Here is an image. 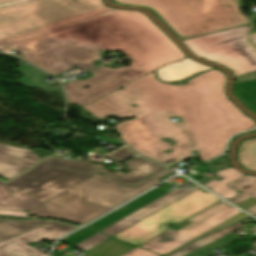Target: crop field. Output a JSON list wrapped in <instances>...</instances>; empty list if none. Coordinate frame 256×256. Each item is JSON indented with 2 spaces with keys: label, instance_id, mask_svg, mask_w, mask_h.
I'll return each mask as SVG.
<instances>
[{
  "label": "crop field",
  "instance_id": "obj_1",
  "mask_svg": "<svg viewBox=\"0 0 256 256\" xmlns=\"http://www.w3.org/2000/svg\"><path fill=\"white\" fill-rule=\"evenodd\" d=\"M224 73L214 69L183 85L162 84L154 72L84 107L99 120L107 116L135 119L115 125L121 138L137 153L158 162L189 157V145L182 123L169 116H181L191 151L198 150L202 161L218 155L231 134L255 126L226 98ZM136 104L137 107H130ZM176 142L171 147L159 139ZM171 149L165 154L162 151Z\"/></svg>",
  "mask_w": 256,
  "mask_h": 256
},
{
  "label": "crop field",
  "instance_id": "obj_2",
  "mask_svg": "<svg viewBox=\"0 0 256 256\" xmlns=\"http://www.w3.org/2000/svg\"><path fill=\"white\" fill-rule=\"evenodd\" d=\"M9 46L55 77L73 66L94 67L98 50H120L127 55L131 66L92 69V77L64 85L68 103L79 107L163 65L187 58L144 13L132 10L110 12ZM87 84L90 88L83 89Z\"/></svg>",
  "mask_w": 256,
  "mask_h": 256
},
{
  "label": "crop field",
  "instance_id": "obj_3",
  "mask_svg": "<svg viewBox=\"0 0 256 256\" xmlns=\"http://www.w3.org/2000/svg\"><path fill=\"white\" fill-rule=\"evenodd\" d=\"M112 2L149 9L179 40L250 23V17L241 13L242 0H112Z\"/></svg>",
  "mask_w": 256,
  "mask_h": 256
},
{
  "label": "crop field",
  "instance_id": "obj_4",
  "mask_svg": "<svg viewBox=\"0 0 256 256\" xmlns=\"http://www.w3.org/2000/svg\"><path fill=\"white\" fill-rule=\"evenodd\" d=\"M158 182L160 180L152 175L129 187L98 174L29 211L28 214L83 224Z\"/></svg>",
  "mask_w": 256,
  "mask_h": 256
},
{
  "label": "crop field",
  "instance_id": "obj_5",
  "mask_svg": "<svg viewBox=\"0 0 256 256\" xmlns=\"http://www.w3.org/2000/svg\"><path fill=\"white\" fill-rule=\"evenodd\" d=\"M95 174L40 162L8 183L0 181V209L29 211Z\"/></svg>",
  "mask_w": 256,
  "mask_h": 256
},
{
  "label": "crop field",
  "instance_id": "obj_6",
  "mask_svg": "<svg viewBox=\"0 0 256 256\" xmlns=\"http://www.w3.org/2000/svg\"><path fill=\"white\" fill-rule=\"evenodd\" d=\"M103 6L102 0H0V38Z\"/></svg>",
  "mask_w": 256,
  "mask_h": 256
},
{
  "label": "crop field",
  "instance_id": "obj_7",
  "mask_svg": "<svg viewBox=\"0 0 256 256\" xmlns=\"http://www.w3.org/2000/svg\"><path fill=\"white\" fill-rule=\"evenodd\" d=\"M249 27L183 40L197 57L230 69L234 77L256 70V50L246 40Z\"/></svg>",
  "mask_w": 256,
  "mask_h": 256
},
{
  "label": "crop field",
  "instance_id": "obj_8",
  "mask_svg": "<svg viewBox=\"0 0 256 256\" xmlns=\"http://www.w3.org/2000/svg\"><path fill=\"white\" fill-rule=\"evenodd\" d=\"M202 190L193 191L113 237L138 246L167 230V224L178 223L220 200Z\"/></svg>",
  "mask_w": 256,
  "mask_h": 256
},
{
  "label": "crop field",
  "instance_id": "obj_9",
  "mask_svg": "<svg viewBox=\"0 0 256 256\" xmlns=\"http://www.w3.org/2000/svg\"><path fill=\"white\" fill-rule=\"evenodd\" d=\"M239 212L241 211L221 201L179 224L178 226L183 229L179 231L169 230L140 247L164 255L212 227L228 220Z\"/></svg>",
  "mask_w": 256,
  "mask_h": 256
},
{
  "label": "crop field",
  "instance_id": "obj_10",
  "mask_svg": "<svg viewBox=\"0 0 256 256\" xmlns=\"http://www.w3.org/2000/svg\"><path fill=\"white\" fill-rule=\"evenodd\" d=\"M78 226L55 221L30 232L0 243V256H47L27 243L49 240L54 241Z\"/></svg>",
  "mask_w": 256,
  "mask_h": 256
},
{
  "label": "crop field",
  "instance_id": "obj_11",
  "mask_svg": "<svg viewBox=\"0 0 256 256\" xmlns=\"http://www.w3.org/2000/svg\"><path fill=\"white\" fill-rule=\"evenodd\" d=\"M197 188L176 189L101 230V232L113 236Z\"/></svg>",
  "mask_w": 256,
  "mask_h": 256
},
{
  "label": "crop field",
  "instance_id": "obj_12",
  "mask_svg": "<svg viewBox=\"0 0 256 256\" xmlns=\"http://www.w3.org/2000/svg\"><path fill=\"white\" fill-rule=\"evenodd\" d=\"M39 160L29 149L0 144V176L7 180L29 169Z\"/></svg>",
  "mask_w": 256,
  "mask_h": 256
},
{
  "label": "crop field",
  "instance_id": "obj_13",
  "mask_svg": "<svg viewBox=\"0 0 256 256\" xmlns=\"http://www.w3.org/2000/svg\"><path fill=\"white\" fill-rule=\"evenodd\" d=\"M114 10H117V9H113L109 6L99 8V9H96V10H93V11H90L87 13H83V14H80V15H77V16H74L71 18H67V19H64V20H61V21H58L55 23H51V24H48V25H45V26H42L39 28H35V29L29 30V31H26L23 33H19V34H16V35H13V36H10L7 38L0 39V45H9V44H12L15 42H19V41H22V40H25V39H28V38H31L34 36H38V35H41V34H44V33L59 29V28H63V27L90 19L92 17L98 16V15H101V14H104V13H107L110 11H114Z\"/></svg>",
  "mask_w": 256,
  "mask_h": 256
},
{
  "label": "crop field",
  "instance_id": "obj_14",
  "mask_svg": "<svg viewBox=\"0 0 256 256\" xmlns=\"http://www.w3.org/2000/svg\"><path fill=\"white\" fill-rule=\"evenodd\" d=\"M124 165L128 166L129 172L127 174H123L122 172L118 171L112 173L110 171L104 170L100 167H96L93 169L94 171L100 172L106 176L114 178L118 181L131 185L161 169L164 167L159 166L149 160L142 159L140 157H135L125 163Z\"/></svg>",
  "mask_w": 256,
  "mask_h": 256
},
{
  "label": "crop field",
  "instance_id": "obj_15",
  "mask_svg": "<svg viewBox=\"0 0 256 256\" xmlns=\"http://www.w3.org/2000/svg\"><path fill=\"white\" fill-rule=\"evenodd\" d=\"M166 193L168 192L156 188L88 226L100 231Z\"/></svg>",
  "mask_w": 256,
  "mask_h": 256
},
{
  "label": "crop field",
  "instance_id": "obj_16",
  "mask_svg": "<svg viewBox=\"0 0 256 256\" xmlns=\"http://www.w3.org/2000/svg\"><path fill=\"white\" fill-rule=\"evenodd\" d=\"M207 69H210V67L187 58L163 66L156 70V72L159 79L163 82H174L185 79L196 72Z\"/></svg>",
  "mask_w": 256,
  "mask_h": 256
},
{
  "label": "crop field",
  "instance_id": "obj_17",
  "mask_svg": "<svg viewBox=\"0 0 256 256\" xmlns=\"http://www.w3.org/2000/svg\"><path fill=\"white\" fill-rule=\"evenodd\" d=\"M228 186L241 192L240 194L227 200L233 204H236L250 196L256 199V176L244 175L230 183ZM245 210L252 215H256V204Z\"/></svg>",
  "mask_w": 256,
  "mask_h": 256
},
{
  "label": "crop field",
  "instance_id": "obj_18",
  "mask_svg": "<svg viewBox=\"0 0 256 256\" xmlns=\"http://www.w3.org/2000/svg\"><path fill=\"white\" fill-rule=\"evenodd\" d=\"M51 221H39V220H3L0 219V241L11 238L43 224Z\"/></svg>",
  "mask_w": 256,
  "mask_h": 256
},
{
  "label": "crop field",
  "instance_id": "obj_19",
  "mask_svg": "<svg viewBox=\"0 0 256 256\" xmlns=\"http://www.w3.org/2000/svg\"><path fill=\"white\" fill-rule=\"evenodd\" d=\"M216 174L225 179L220 182L214 180L205 184L204 186L209 187L214 193L218 194L226 200L236 195L235 191L226 185L244 174L233 167L217 172Z\"/></svg>",
  "mask_w": 256,
  "mask_h": 256
},
{
  "label": "crop field",
  "instance_id": "obj_20",
  "mask_svg": "<svg viewBox=\"0 0 256 256\" xmlns=\"http://www.w3.org/2000/svg\"><path fill=\"white\" fill-rule=\"evenodd\" d=\"M135 248L110 238L89 249L85 256H121Z\"/></svg>",
  "mask_w": 256,
  "mask_h": 256
},
{
  "label": "crop field",
  "instance_id": "obj_21",
  "mask_svg": "<svg viewBox=\"0 0 256 256\" xmlns=\"http://www.w3.org/2000/svg\"><path fill=\"white\" fill-rule=\"evenodd\" d=\"M233 93L246 107L256 114V80L233 84Z\"/></svg>",
  "mask_w": 256,
  "mask_h": 256
},
{
  "label": "crop field",
  "instance_id": "obj_22",
  "mask_svg": "<svg viewBox=\"0 0 256 256\" xmlns=\"http://www.w3.org/2000/svg\"><path fill=\"white\" fill-rule=\"evenodd\" d=\"M238 161L244 168L256 171V138L241 143Z\"/></svg>",
  "mask_w": 256,
  "mask_h": 256
},
{
  "label": "crop field",
  "instance_id": "obj_23",
  "mask_svg": "<svg viewBox=\"0 0 256 256\" xmlns=\"http://www.w3.org/2000/svg\"><path fill=\"white\" fill-rule=\"evenodd\" d=\"M239 228H240V223L232 225V226H230L226 229H223V230H221V231H219V232H217L213 235L206 236V237H204V238H202V239H200V240H198V241H196L192 244H189V245H187L184 248L174 252L173 254H171L169 256H182V255L187 254V253H189V252H191V251H193V250H195V249H197V248H199V247H201V246H203V245H205V244H207V243H209L213 240H216V239H218L222 236H225V235H227V234H229V233H231V232H233V231H235Z\"/></svg>",
  "mask_w": 256,
  "mask_h": 256
},
{
  "label": "crop field",
  "instance_id": "obj_24",
  "mask_svg": "<svg viewBox=\"0 0 256 256\" xmlns=\"http://www.w3.org/2000/svg\"><path fill=\"white\" fill-rule=\"evenodd\" d=\"M43 162L59 165L62 167L74 169L80 172H87L88 170L94 168V164L90 162H81L73 159L61 160L56 157H49L47 159L42 160Z\"/></svg>",
  "mask_w": 256,
  "mask_h": 256
},
{
  "label": "crop field",
  "instance_id": "obj_25",
  "mask_svg": "<svg viewBox=\"0 0 256 256\" xmlns=\"http://www.w3.org/2000/svg\"><path fill=\"white\" fill-rule=\"evenodd\" d=\"M239 238H241V237L234 234V233H231V234H229L225 237H222V238H220V239H218V240H216V241H214V242H212V243H210V244H208V245H206V246H204V247H202V248H200L196 251H193V252H191V253H189L185 256H198L201 253H204L206 251H209V250H212L214 248L220 247L224 244H227V243L232 242V241H234L236 239H239Z\"/></svg>",
  "mask_w": 256,
  "mask_h": 256
},
{
  "label": "crop field",
  "instance_id": "obj_26",
  "mask_svg": "<svg viewBox=\"0 0 256 256\" xmlns=\"http://www.w3.org/2000/svg\"><path fill=\"white\" fill-rule=\"evenodd\" d=\"M96 233H97V231H95L93 229H88L85 227V228L63 238L60 241L67 243V244L74 245V244H76V243L96 234Z\"/></svg>",
  "mask_w": 256,
  "mask_h": 256
},
{
  "label": "crop field",
  "instance_id": "obj_27",
  "mask_svg": "<svg viewBox=\"0 0 256 256\" xmlns=\"http://www.w3.org/2000/svg\"><path fill=\"white\" fill-rule=\"evenodd\" d=\"M108 238L109 237L98 233V234H96V235H94V236H92V237H90V238H88V239H86V240H84V241L74 245V247L85 251V250H87V249H89V248L99 244L100 242H102V241H104V240H106Z\"/></svg>",
  "mask_w": 256,
  "mask_h": 256
},
{
  "label": "crop field",
  "instance_id": "obj_28",
  "mask_svg": "<svg viewBox=\"0 0 256 256\" xmlns=\"http://www.w3.org/2000/svg\"><path fill=\"white\" fill-rule=\"evenodd\" d=\"M246 218H250V217H249L248 215H246V214H244V213L241 212V213H239L238 215L234 216L233 218H231V219L229 218L230 220H228V221H226V222H224V223L218 225L217 227H215V228H213V229L207 231L206 233L200 235L199 237H201V236H203V235H205V234H207V233H209V232H212V231H214V230H217V229H219V228H222V227H224V226H227V225H229V224H231V223H234V222H237V221L246 219ZM199 237H197V238H199ZM197 238H195V239H197ZM195 239H193V240H195ZM193 240H191V241H193ZM191 241H189V242H191ZM189 242H187V243H189ZM187 243H185V244H187ZM185 244H183V245H185ZM183 245H181V246H183ZM181 246H180V247H181ZM180 247H178V248H180ZM178 248L172 250V251L169 252L168 254L172 253L173 251L177 250ZM168 254H166V255H168ZM166 255H164V256H166Z\"/></svg>",
  "mask_w": 256,
  "mask_h": 256
},
{
  "label": "crop field",
  "instance_id": "obj_29",
  "mask_svg": "<svg viewBox=\"0 0 256 256\" xmlns=\"http://www.w3.org/2000/svg\"><path fill=\"white\" fill-rule=\"evenodd\" d=\"M135 154L132 153L127 147H124L106 157H109V158H113V159H116V160H119V161H124L132 156H134Z\"/></svg>",
  "mask_w": 256,
  "mask_h": 256
},
{
  "label": "crop field",
  "instance_id": "obj_30",
  "mask_svg": "<svg viewBox=\"0 0 256 256\" xmlns=\"http://www.w3.org/2000/svg\"><path fill=\"white\" fill-rule=\"evenodd\" d=\"M123 256H158L150 252L136 248L135 250L123 255Z\"/></svg>",
  "mask_w": 256,
  "mask_h": 256
},
{
  "label": "crop field",
  "instance_id": "obj_31",
  "mask_svg": "<svg viewBox=\"0 0 256 256\" xmlns=\"http://www.w3.org/2000/svg\"><path fill=\"white\" fill-rule=\"evenodd\" d=\"M0 215H2V216H11V217H28L26 212H17V211H3V210H0Z\"/></svg>",
  "mask_w": 256,
  "mask_h": 256
},
{
  "label": "crop field",
  "instance_id": "obj_32",
  "mask_svg": "<svg viewBox=\"0 0 256 256\" xmlns=\"http://www.w3.org/2000/svg\"><path fill=\"white\" fill-rule=\"evenodd\" d=\"M255 203H256V200L250 197V198H248V199H246V200H244V201H242V202H240L236 205L245 209V208H247V207H249V206H251Z\"/></svg>",
  "mask_w": 256,
  "mask_h": 256
},
{
  "label": "crop field",
  "instance_id": "obj_33",
  "mask_svg": "<svg viewBox=\"0 0 256 256\" xmlns=\"http://www.w3.org/2000/svg\"><path fill=\"white\" fill-rule=\"evenodd\" d=\"M170 172H171V171H169V170H167V169H164V170H162V171H160V172L154 174V176L160 178V177H162V176H164V175H166V174H168V173H170Z\"/></svg>",
  "mask_w": 256,
  "mask_h": 256
},
{
  "label": "crop field",
  "instance_id": "obj_34",
  "mask_svg": "<svg viewBox=\"0 0 256 256\" xmlns=\"http://www.w3.org/2000/svg\"><path fill=\"white\" fill-rule=\"evenodd\" d=\"M36 154H37L40 158H43V157L48 156V155H52L51 153H49V152H47V151L36 152Z\"/></svg>",
  "mask_w": 256,
  "mask_h": 256
},
{
  "label": "crop field",
  "instance_id": "obj_35",
  "mask_svg": "<svg viewBox=\"0 0 256 256\" xmlns=\"http://www.w3.org/2000/svg\"><path fill=\"white\" fill-rule=\"evenodd\" d=\"M104 139L107 140L109 143H112V144H114V145H116V146L122 144V143H120V142H118V141H113V140L109 139V138H108L107 136H105V135H104Z\"/></svg>",
  "mask_w": 256,
  "mask_h": 256
},
{
  "label": "crop field",
  "instance_id": "obj_36",
  "mask_svg": "<svg viewBox=\"0 0 256 256\" xmlns=\"http://www.w3.org/2000/svg\"><path fill=\"white\" fill-rule=\"evenodd\" d=\"M209 179H211V178H210V177H207V178H205V179L199 181L198 183L201 184V185H203V184L209 182V181H208Z\"/></svg>",
  "mask_w": 256,
  "mask_h": 256
},
{
  "label": "crop field",
  "instance_id": "obj_37",
  "mask_svg": "<svg viewBox=\"0 0 256 256\" xmlns=\"http://www.w3.org/2000/svg\"><path fill=\"white\" fill-rule=\"evenodd\" d=\"M96 153H98V154H106V153H108V151L102 150V149H97Z\"/></svg>",
  "mask_w": 256,
  "mask_h": 256
},
{
  "label": "crop field",
  "instance_id": "obj_38",
  "mask_svg": "<svg viewBox=\"0 0 256 256\" xmlns=\"http://www.w3.org/2000/svg\"><path fill=\"white\" fill-rule=\"evenodd\" d=\"M250 40L252 41V43L256 46V35L251 36Z\"/></svg>",
  "mask_w": 256,
  "mask_h": 256
},
{
  "label": "crop field",
  "instance_id": "obj_39",
  "mask_svg": "<svg viewBox=\"0 0 256 256\" xmlns=\"http://www.w3.org/2000/svg\"><path fill=\"white\" fill-rule=\"evenodd\" d=\"M33 152H36V151H42L41 149H38V150H35V149H32Z\"/></svg>",
  "mask_w": 256,
  "mask_h": 256
}]
</instances>
